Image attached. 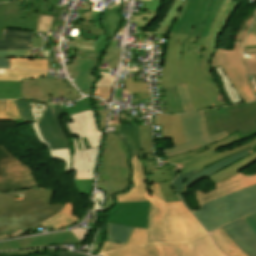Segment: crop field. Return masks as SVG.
I'll list each match as a JSON object with an SVG mask.
<instances>
[{
    "label": "crop field",
    "instance_id": "d14b1444",
    "mask_svg": "<svg viewBox=\"0 0 256 256\" xmlns=\"http://www.w3.org/2000/svg\"><path fill=\"white\" fill-rule=\"evenodd\" d=\"M10 58H0V68H9Z\"/></svg>",
    "mask_w": 256,
    "mask_h": 256
},
{
    "label": "crop field",
    "instance_id": "e1d0b9f6",
    "mask_svg": "<svg viewBox=\"0 0 256 256\" xmlns=\"http://www.w3.org/2000/svg\"><path fill=\"white\" fill-rule=\"evenodd\" d=\"M96 111H97V110H96ZM107 112H108V111H97V113L100 114V121H99V123H100V128H101V130L104 129L105 119H106Z\"/></svg>",
    "mask_w": 256,
    "mask_h": 256
},
{
    "label": "crop field",
    "instance_id": "3316defc",
    "mask_svg": "<svg viewBox=\"0 0 256 256\" xmlns=\"http://www.w3.org/2000/svg\"><path fill=\"white\" fill-rule=\"evenodd\" d=\"M182 118L186 144L163 150L167 157L193 151L228 136L224 131L208 137L204 111L183 114Z\"/></svg>",
    "mask_w": 256,
    "mask_h": 256
},
{
    "label": "crop field",
    "instance_id": "dbb93151",
    "mask_svg": "<svg viewBox=\"0 0 256 256\" xmlns=\"http://www.w3.org/2000/svg\"><path fill=\"white\" fill-rule=\"evenodd\" d=\"M101 201H102V195L100 193H97L94 198V204H93V208H92V212H91L94 215V219L92 222L93 224L96 223L97 211H99V206H100Z\"/></svg>",
    "mask_w": 256,
    "mask_h": 256
},
{
    "label": "crop field",
    "instance_id": "c5b07064",
    "mask_svg": "<svg viewBox=\"0 0 256 256\" xmlns=\"http://www.w3.org/2000/svg\"><path fill=\"white\" fill-rule=\"evenodd\" d=\"M91 7H92V6H90V5L83 4V6L80 8L79 11L85 13V12L89 11V10L91 9Z\"/></svg>",
    "mask_w": 256,
    "mask_h": 256
},
{
    "label": "crop field",
    "instance_id": "ae633e8c",
    "mask_svg": "<svg viewBox=\"0 0 256 256\" xmlns=\"http://www.w3.org/2000/svg\"><path fill=\"white\" fill-rule=\"evenodd\" d=\"M42 38H32V48H41Z\"/></svg>",
    "mask_w": 256,
    "mask_h": 256
},
{
    "label": "crop field",
    "instance_id": "c035e120",
    "mask_svg": "<svg viewBox=\"0 0 256 256\" xmlns=\"http://www.w3.org/2000/svg\"><path fill=\"white\" fill-rule=\"evenodd\" d=\"M178 91L180 94L184 111L186 112L194 111L187 84L178 85Z\"/></svg>",
    "mask_w": 256,
    "mask_h": 256
},
{
    "label": "crop field",
    "instance_id": "7312dd0a",
    "mask_svg": "<svg viewBox=\"0 0 256 256\" xmlns=\"http://www.w3.org/2000/svg\"><path fill=\"white\" fill-rule=\"evenodd\" d=\"M0 74H4V70H0Z\"/></svg>",
    "mask_w": 256,
    "mask_h": 256
},
{
    "label": "crop field",
    "instance_id": "03da06ac",
    "mask_svg": "<svg viewBox=\"0 0 256 256\" xmlns=\"http://www.w3.org/2000/svg\"><path fill=\"white\" fill-rule=\"evenodd\" d=\"M214 242L219 247L220 250H222L224 253H229L233 250H235L231 244L224 238V236L217 230L213 233H211Z\"/></svg>",
    "mask_w": 256,
    "mask_h": 256
},
{
    "label": "crop field",
    "instance_id": "eef30255",
    "mask_svg": "<svg viewBox=\"0 0 256 256\" xmlns=\"http://www.w3.org/2000/svg\"><path fill=\"white\" fill-rule=\"evenodd\" d=\"M31 37H34V32L4 29L0 49L31 48Z\"/></svg>",
    "mask_w": 256,
    "mask_h": 256
},
{
    "label": "crop field",
    "instance_id": "b80d0937",
    "mask_svg": "<svg viewBox=\"0 0 256 256\" xmlns=\"http://www.w3.org/2000/svg\"><path fill=\"white\" fill-rule=\"evenodd\" d=\"M157 18L158 13L143 10L142 16L132 15L130 22L138 23L139 27L148 28Z\"/></svg>",
    "mask_w": 256,
    "mask_h": 256
},
{
    "label": "crop field",
    "instance_id": "00972430",
    "mask_svg": "<svg viewBox=\"0 0 256 256\" xmlns=\"http://www.w3.org/2000/svg\"><path fill=\"white\" fill-rule=\"evenodd\" d=\"M22 81L40 85L47 95L43 101L44 103H47L46 100L50 98H68L69 101L81 98V95L73 88L68 79L53 80L38 76L37 80L23 79ZM61 94H63V97H61Z\"/></svg>",
    "mask_w": 256,
    "mask_h": 256
},
{
    "label": "crop field",
    "instance_id": "b54c1fbb",
    "mask_svg": "<svg viewBox=\"0 0 256 256\" xmlns=\"http://www.w3.org/2000/svg\"><path fill=\"white\" fill-rule=\"evenodd\" d=\"M243 54L246 74L256 75V52H248Z\"/></svg>",
    "mask_w": 256,
    "mask_h": 256
},
{
    "label": "crop field",
    "instance_id": "0bd39190",
    "mask_svg": "<svg viewBox=\"0 0 256 256\" xmlns=\"http://www.w3.org/2000/svg\"><path fill=\"white\" fill-rule=\"evenodd\" d=\"M140 142L143 154L152 153V131L151 126H139Z\"/></svg>",
    "mask_w": 256,
    "mask_h": 256
},
{
    "label": "crop field",
    "instance_id": "25e5ab78",
    "mask_svg": "<svg viewBox=\"0 0 256 256\" xmlns=\"http://www.w3.org/2000/svg\"><path fill=\"white\" fill-rule=\"evenodd\" d=\"M19 162L12 154H10L2 145H0V177H2L1 165Z\"/></svg>",
    "mask_w": 256,
    "mask_h": 256
},
{
    "label": "crop field",
    "instance_id": "28ad6ade",
    "mask_svg": "<svg viewBox=\"0 0 256 256\" xmlns=\"http://www.w3.org/2000/svg\"><path fill=\"white\" fill-rule=\"evenodd\" d=\"M248 147L250 149H252L255 153L246 157L245 159L235 163L234 165L212 175V176L206 177L215 184L219 181H222V180L236 174L237 172L241 171L242 169H244L245 167L249 166L250 164H252L253 162L256 161V139L245 144V145L238 146V147L226 150L224 152L214 154V155L204 158L202 160H199V161L187 164V165L180 166L179 174H183V173H186L193 169L201 168L203 166L208 167V166L215 164L229 156H232ZM181 168H182V170H181Z\"/></svg>",
    "mask_w": 256,
    "mask_h": 256
},
{
    "label": "crop field",
    "instance_id": "cbeb9de0",
    "mask_svg": "<svg viewBox=\"0 0 256 256\" xmlns=\"http://www.w3.org/2000/svg\"><path fill=\"white\" fill-rule=\"evenodd\" d=\"M148 212V202L117 203V206L109 213L106 222L147 228Z\"/></svg>",
    "mask_w": 256,
    "mask_h": 256
},
{
    "label": "crop field",
    "instance_id": "5d738f31",
    "mask_svg": "<svg viewBox=\"0 0 256 256\" xmlns=\"http://www.w3.org/2000/svg\"><path fill=\"white\" fill-rule=\"evenodd\" d=\"M256 15V12L252 13L251 15H249L242 23L238 33H237V37L235 39V42H240L242 43L254 17Z\"/></svg>",
    "mask_w": 256,
    "mask_h": 256
},
{
    "label": "crop field",
    "instance_id": "ae1a2a85",
    "mask_svg": "<svg viewBox=\"0 0 256 256\" xmlns=\"http://www.w3.org/2000/svg\"><path fill=\"white\" fill-rule=\"evenodd\" d=\"M54 0H24L20 13L22 18L37 20V14L47 15Z\"/></svg>",
    "mask_w": 256,
    "mask_h": 256
},
{
    "label": "crop field",
    "instance_id": "bd1437ed",
    "mask_svg": "<svg viewBox=\"0 0 256 256\" xmlns=\"http://www.w3.org/2000/svg\"><path fill=\"white\" fill-rule=\"evenodd\" d=\"M129 186H131L129 181L117 182L116 180H111L99 182L98 188L107 194V201L103 211H107L114 206V199L111 197L112 195L127 191Z\"/></svg>",
    "mask_w": 256,
    "mask_h": 256
},
{
    "label": "crop field",
    "instance_id": "5a996713",
    "mask_svg": "<svg viewBox=\"0 0 256 256\" xmlns=\"http://www.w3.org/2000/svg\"><path fill=\"white\" fill-rule=\"evenodd\" d=\"M242 44L235 43L233 51L217 49L211 59V67L222 66L223 70L244 102L255 100L243 66Z\"/></svg>",
    "mask_w": 256,
    "mask_h": 256
},
{
    "label": "crop field",
    "instance_id": "425ffa30",
    "mask_svg": "<svg viewBox=\"0 0 256 256\" xmlns=\"http://www.w3.org/2000/svg\"><path fill=\"white\" fill-rule=\"evenodd\" d=\"M94 179L75 180L76 188L80 194H91Z\"/></svg>",
    "mask_w": 256,
    "mask_h": 256
},
{
    "label": "crop field",
    "instance_id": "f4fd0767",
    "mask_svg": "<svg viewBox=\"0 0 256 256\" xmlns=\"http://www.w3.org/2000/svg\"><path fill=\"white\" fill-rule=\"evenodd\" d=\"M64 205H49L46 198L0 207V234L21 228L22 230L48 219L63 209Z\"/></svg>",
    "mask_w": 256,
    "mask_h": 256
},
{
    "label": "crop field",
    "instance_id": "dafd665d",
    "mask_svg": "<svg viewBox=\"0 0 256 256\" xmlns=\"http://www.w3.org/2000/svg\"><path fill=\"white\" fill-rule=\"evenodd\" d=\"M45 96V92L37 85L0 81V99H31L42 102Z\"/></svg>",
    "mask_w": 256,
    "mask_h": 256
},
{
    "label": "crop field",
    "instance_id": "5866460e",
    "mask_svg": "<svg viewBox=\"0 0 256 256\" xmlns=\"http://www.w3.org/2000/svg\"><path fill=\"white\" fill-rule=\"evenodd\" d=\"M47 72H37V71H25V70H5L4 75H0V80H12L21 81L22 78H34L37 75L45 76Z\"/></svg>",
    "mask_w": 256,
    "mask_h": 256
},
{
    "label": "crop field",
    "instance_id": "120bbe31",
    "mask_svg": "<svg viewBox=\"0 0 256 256\" xmlns=\"http://www.w3.org/2000/svg\"><path fill=\"white\" fill-rule=\"evenodd\" d=\"M132 228L107 223L106 241L126 244Z\"/></svg>",
    "mask_w": 256,
    "mask_h": 256
},
{
    "label": "crop field",
    "instance_id": "ade564c9",
    "mask_svg": "<svg viewBox=\"0 0 256 256\" xmlns=\"http://www.w3.org/2000/svg\"><path fill=\"white\" fill-rule=\"evenodd\" d=\"M57 256H85V255L69 253V252H60V253H57Z\"/></svg>",
    "mask_w": 256,
    "mask_h": 256
},
{
    "label": "crop field",
    "instance_id": "bc2a9ffb",
    "mask_svg": "<svg viewBox=\"0 0 256 256\" xmlns=\"http://www.w3.org/2000/svg\"><path fill=\"white\" fill-rule=\"evenodd\" d=\"M72 168L75 179L94 178L100 148L80 151L77 137L72 138Z\"/></svg>",
    "mask_w": 256,
    "mask_h": 256
},
{
    "label": "crop field",
    "instance_id": "0f1d7ab4",
    "mask_svg": "<svg viewBox=\"0 0 256 256\" xmlns=\"http://www.w3.org/2000/svg\"><path fill=\"white\" fill-rule=\"evenodd\" d=\"M256 48V36L246 38L244 42L243 50Z\"/></svg>",
    "mask_w": 256,
    "mask_h": 256
},
{
    "label": "crop field",
    "instance_id": "e52e79f7",
    "mask_svg": "<svg viewBox=\"0 0 256 256\" xmlns=\"http://www.w3.org/2000/svg\"><path fill=\"white\" fill-rule=\"evenodd\" d=\"M103 256H225L214 245L209 234L188 244H150L131 247Z\"/></svg>",
    "mask_w": 256,
    "mask_h": 256
},
{
    "label": "crop field",
    "instance_id": "5142ce71",
    "mask_svg": "<svg viewBox=\"0 0 256 256\" xmlns=\"http://www.w3.org/2000/svg\"><path fill=\"white\" fill-rule=\"evenodd\" d=\"M146 159H142L144 165L146 179L153 185L158 183L165 202H176L180 201L174 194L171 187V181L174 178L177 168L169 165L158 170L155 169L152 163L158 162L153 154L144 155Z\"/></svg>",
    "mask_w": 256,
    "mask_h": 256
},
{
    "label": "crop field",
    "instance_id": "d23c7cc5",
    "mask_svg": "<svg viewBox=\"0 0 256 256\" xmlns=\"http://www.w3.org/2000/svg\"><path fill=\"white\" fill-rule=\"evenodd\" d=\"M126 89L131 92L149 91L148 83H134L133 78H125Z\"/></svg>",
    "mask_w": 256,
    "mask_h": 256
},
{
    "label": "crop field",
    "instance_id": "78b8030e",
    "mask_svg": "<svg viewBox=\"0 0 256 256\" xmlns=\"http://www.w3.org/2000/svg\"><path fill=\"white\" fill-rule=\"evenodd\" d=\"M22 0L7 3L6 11L18 12Z\"/></svg>",
    "mask_w": 256,
    "mask_h": 256
},
{
    "label": "crop field",
    "instance_id": "d9b57169",
    "mask_svg": "<svg viewBox=\"0 0 256 256\" xmlns=\"http://www.w3.org/2000/svg\"><path fill=\"white\" fill-rule=\"evenodd\" d=\"M254 153L253 151H251L249 148L230 157L227 158L215 165H212L208 168H201V169H197V170H193L189 173L183 174V175H179L175 180H174V187H175V191L177 194H181L183 193L191 184L195 183L196 181L211 175L243 158H245L246 156L250 155Z\"/></svg>",
    "mask_w": 256,
    "mask_h": 256
},
{
    "label": "crop field",
    "instance_id": "0765c3eb",
    "mask_svg": "<svg viewBox=\"0 0 256 256\" xmlns=\"http://www.w3.org/2000/svg\"><path fill=\"white\" fill-rule=\"evenodd\" d=\"M6 4H0V39H2Z\"/></svg>",
    "mask_w": 256,
    "mask_h": 256
},
{
    "label": "crop field",
    "instance_id": "180be81f",
    "mask_svg": "<svg viewBox=\"0 0 256 256\" xmlns=\"http://www.w3.org/2000/svg\"><path fill=\"white\" fill-rule=\"evenodd\" d=\"M5 1H9V0H0V3H1V2H5Z\"/></svg>",
    "mask_w": 256,
    "mask_h": 256
},
{
    "label": "crop field",
    "instance_id": "d8731c3e",
    "mask_svg": "<svg viewBox=\"0 0 256 256\" xmlns=\"http://www.w3.org/2000/svg\"><path fill=\"white\" fill-rule=\"evenodd\" d=\"M119 9L120 7L117 6H114L113 9L108 8L107 13L104 16L103 26L107 33L110 35V38L115 35V33H117L121 23V15ZM101 14L102 12L90 11L86 14H83L82 18L80 19V24H73V28L75 29L85 30L100 35V37H98L95 41L94 48L85 46L78 47L77 52L85 53L84 57L99 58L102 50L108 45L107 37L99 25V17Z\"/></svg>",
    "mask_w": 256,
    "mask_h": 256
},
{
    "label": "crop field",
    "instance_id": "d1516ede",
    "mask_svg": "<svg viewBox=\"0 0 256 256\" xmlns=\"http://www.w3.org/2000/svg\"><path fill=\"white\" fill-rule=\"evenodd\" d=\"M130 172V164L127 162L116 135L108 133L100 168V181L110 179L130 180Z\"/></svg>",
    "mask_w": 256,
    "mask_h": 256
},
{
    "label": "crop field",
    "instance_id": "73cf0c24",
    "mask_svg": "<svg viewBox=\"0 0 256 256\" xmlns=\"http://www.w3.org/2000/svg\"><path fill=\"white\" fill-rule=\"evenodd\" d=\"M30 55H31V49L0 51V57H30Z\"/></svg>",
    "mask_w": 256,
    "mask_h": 256
},
{
    "label": "crop field",
    "instance_id": "c3a83c6f",
    "mask_svg": "<svg viewBox=\"0 0 256 256\" xmlns=\"http://www.w3.org/2000/svg\"><path fill=\"white\" fill-rule=\"evenodd\" d=\"M7 237H8L7 233L4 234V235H0V239H4V238H7Z\"/></svg>",
    "mask_w": 256,
    "mask_h": 256
},
{
    "label": "crop field",
    "instance_id": "8a807250",
    "mask_svg": "<svg viewBox=\"0 0 256 256\" xmlns=\"http://www.w3.org/2000/svg\"><path fill=\"white\" fill-rule=\"evenodd\" d=\"M234 0H175L156 34H168L161 85L165 86L166 114L182 110L177 84H188L194 109L226 105L211 72L216 39L237 8Z\"/></svg>",
    "mask_w": 256,
    "mask_h": 256
},
{
    "label": "crop field",
    "instance_id": "dd49c442",
    "mask_svg": "<svg viewBox=\"0 0 256 256\" xmlns=\"http://www.w3.org/2000/svg\"><path fill=\"white\" fill-rule=\"evenodd\" d=\"M60 105H49L44 116L30 124L38 140L48 148L51 159L65 162V171L70 168V142L60 123Z\"/></svg>",
    "mask_w": 256,
    "mask_h": 256
},
{
    "label": "crop field",
    "instance_id": "028f5c9d",
    "mask_svg": "<svg viewBox=\"0 0 256 256\" xmlns=\"http://www.w3.org/2000/svg\"><path fill=\"white\" fill-rule=\"evenodd\" d=\"M216 72L218 73L222 86L227 94V96L231 99L232 104H239L243 103V100L239 97L236 90L233 88V86L230 84L228 79L226 78L223 70L221 67L215 68Z\"/></svg>",
    "mask_w": 256,
    "mask_h": 256
},
{
    "label": "crop field",
    "instance_id": "1d79db26",
    "mask_svg": "<svg viewBox=\"0 0 256 256\" xmlns=\"http://www.w3.org/2000/svg\"><path fill=\"white\" fill-rule=\"evenodd\" d=\"M224 236L225 238L233 245V247L236 249L235 251L227 254L229 256H247L243 251H241L233 242L232 240L226 235V233L222 230V228L218 229Z\"/></svg>",
    "mask_w": 256,
    "mask_h": 256
},
{
    "label": "crop field",
    "instance_id": "34b2d1b8",
    "mask_svg": "<svg viewBox=\"0 0 256 256\" xmlns=\"http://www.w3.org/2000/svg\"><path fill=\"white\" fill-rule=\"evenodd\" d=\"M215 187L216 190L208 194L196 192L201 209L195 212L182 194L178 195L208 232L256 212V175L243 177L237 173Z\"/></svg>",
    "mask_w": 256,
    "mask_h": 256
},
{
    "label": "crop field",
    "instance_id": "db79e9e6",
    "mask_svg": "<svg viewBox=\"0 0 256 256\" xmlns=\"http://www.w3.org/2000/svg\"><path fill=\"white\" fill-rule=\"evenodd\" d=\"M103 237H104V229H100V231L98 233V236L96 238L95 244L93 246V249L91 251L92 255H94V253L96 252L97 248L101 245Z\"/></svg>",
    "mask_w": 256,
    "mask_h": 256
},
{
    "label": "crop field",
    "instance_id": "d32e631a",
    "mask_svg": "<svg viewBox=\"0 0 256 256\" xmlns=\"http://www.w3.org/2000/svg\"><path fill=\"white\" fill-rule=\"evenodd\" d=\"M10 68L38 69L48 71L47 60H33L30 58H11Z\"/></svg>",
    "mask_w": 256,
    "mask_h": 256
},
{
    "label": "crop field",
    "instance_id": "e1f06a70",
    "mask_svg": "<svg viewBox=\"0 0 256 256\" xmlns=\"http://www.w3.org/2000/svg\"><path fill=\"white\" fill-rule=\"evenodd\" d=\"M0 120H22L13 101H0Z\"/></svg>",
    "mask_w": 256,
    "mask_h": 256
},
{
    "label": "crop field",
    "instance_id": "214f88e0",
    "mask_svg": "<svg viewBox=\"0 0 256 256\" xmlns=\"http://www.w3.org/2000/svg\"><path fill=\"white\" fill-rule=\"evenodd\" d=\"M98 59L81 58L75 56L72 65H66L67 73L70 72L77 88L86 95L92 94V85L97 77L92 76V72Z\"/></svg>",
    "mask_w": 256,
    "mask_h": 256
},
{
    "label": "crop field",
    "instance_id": "a9b5d70f",
    "mask_svg": "<svg viewBox=\"0 0 256 256\" xmlns=\"http://www.w3.org/2000/svg\"><path fill=\"white\" fill-rule=\"evenodd\" d=\"M240 137L238 135V133L233 134L232 136L225 138L217 143L211 144L209 146L200 148L198 150H195L193 152L190 153H186V154H182L179 156H175V157H171V158H167L169 161L173 162L174 164L180 166L183 164H187L199 159H202L204 157H207L209 155H212L214 153H217L215 150L224 147V146H228L231 145L237 141H240Z\"/></svg>",
    "mask_w": 256,
    "mask_h": 256
},
{
    "label": "crop field",
    "instance_id": "412701ff",
    "mask_svg": "<svg viewBox=\"0 0 256 256\" xmlns=\"http://www.w3.org/2000/svg\"><path fill=\"white\" fill-rule=\"evenodd\" d=\"M205 118L209 136L224 130L229 135L238 131L244 140L256 134V101L206 110Z\"/></svg>",
    "mask_w": 256,
    "mask_h": 256
},
{
    "label": "crop field",
    "instance_id": "d3111659",
    "mask_svg": "<svg viewBox=\"0 0 256 256\" xmlns=\"http://www.w3.org/2000/svg\"><path fill=\"white\" fill-rule=\"evenodd\" d=\"M24 123L34 122L42 116L47 104L34 101H14Z\"/></svg>",
    "mask_w": 256,
    "mask_h": 256
},
{
    "label": "crop field",
    "instance_id": "0fb4a251",
    "mask_svg": "<svg viewBox=\"0 0 256 256\" xmlns=\"http://www.w3.org/2000/svg\"><path fill=\"white\" fill-rule=\"evenodd\" d=\"M79 112L83 110L93 109L91 104V97H86L82 100L77 101Z\"/></svg>",
    "mask_w": 256,
    "mask_h": 256
},
{
    "label": "crop field",
    "instance_id": "92a150f3",
    "mask_svg": "<svg viewBox=\"0 0 256 256\" xmlns=\"http://www.w3.org/2000/svg\"><path fill=\"white\" fill-rule=\"evenodd\" d=\"M233 242L249 256H256V234L245 224L243 219L223 226Z\"/></svg>",
    "mask_w": 256,
    "mask_h": 256
},
{
    "label": "crop field",
    "instance_id": "c21b1889",
    "mask_svg": "<svg viewBox=\"0 0 256 256\" xmlns=\"http://www.w3.org/2000/svg\"><path fill=\"white\" fill-rule=\"evenodd\" d=\"M120 50L118 48H111L108 47L103 55V60L104 62L109 63L108 66L112 67V68H116L117 67V63H118V58H119V54H120Z\"/></svg>",
    "mask_w": 256,
    "mask_h": 256
},
{
    "label": "crop field",
    "instance_id": "22f410ed",
    "mask_svg": "<svg viewBox=\"0 0 256 256\" xmlns=\"http://www.w3.org/2000/svg\"><path fill=\"white\" fill-rule=\"evenodd\" d=\"M70 121L63 124L69 137L78 136L81 150L85 149L82 137H86L90 148L101 146L103 133L98 131L93 110L70 115Z\"/></svg>",
    "mask_w": 256,
    "mask_h": 256
},
{
    "label": "crop field",
    "instance_id": "733c2abd",
    "mask_svg": "<svg viewBox=\"0 0 256 256\" xmlns=\"http://www.w3.org/2000/svg\"><path fill=\"white\" fill-rule=\"evenodd\" d=\"M2 171L3 178H0V191L38 186L30 169L21 162L4 165Z\"/></svg>",
    "mask_w": 256,
    "mask_h": 256
},
{
    "label": "crop field",
    "instance_id": "447ae74e",
    "mask_svg": "<svg viewBox=\"0 0 256 256\" xmlns=\"http://www.w3.org/2000/svg\"><path fill=\"white\" fill-rule=\"evenodd\" d=\"M38 251H55L54 249H35V250H24V251H12V252H6V253H0V256L3 254H30V253H36Z\"/></svg>",
    "mask_w": 256,
    "mask_h": 256
},
{
    "label": "crop field",
    "instance_id": "4177f3b9",
    "mask_svg": "<svg viewBox=\"0 0 256 256\" xmlns=\"http://www.w3.org/2000/svg\"><path fill=\"white\" fill-rule=\"evenodd\" d=\"M54 192L55 190H52V189L42 190L39 187L26 189V190L0 192V206L21 202L20 200L26 201V200H30V199H34L42 196H45L49 204H52Z\"/></svg>",
    "mask_w": 256,
    "mask_h": 256
},
{
    "label": "crop field",
    "instance_id": "730fd06b",
    "mask_svg": "<svg viewBox=\"0 0 256 256\" xmlns=\"http://www.w3.org/2000/svg\"><path fill=\"white\" fill-rule=\"evenodd\" d=\"M158 124H162V139L172 138L173 146L185 143L181 115L157 114L155 125Z\"/></svg>",
    "mask_w": 256,
    "mask_h": 256
},
{
    "label": "crop field",
    "instance_id": "750c4746",
    "mask_svg": "<svg viewBox=\"0 0 256 256\" xmlns=\"http://www.w3.org/2000/svg\"><path fill=\"white\" fill-rule=\"evenodd\" d=\"M77 218L73 216V205L72 204H66V207L57 215L53 216L52 218L38 224L37 227H43V226H49L52 225L54 230H57L59 228L69 226L75 222H77Z\"/></svg>",
    "mask_w": 256,
    "mask_h": 256
},
{
    "label": "crop field",
    "instance_id": "f0312440",
    "mask_svg": "<svg viewBox=\"0 0 256 256\" xmlns=\"http://www.w3.org/2000/svg\"><path fill=\"white\" fill-rule=\"evenodd\" d=\"M44 256H48V255H44Z\"/></svg>",
    "mask_w": 256,
    "mask_h": 256
},
{
    "label": "crop field",
    "instance_id": "9d1cf04e",
    "mask_svg": "<svg viewBox=\"0 0 256 256\" xmlns=\"http://www.w3.org/2000/svg\"><path fill=\"white\" fill-rule=\"evenodd\" d=\"M123 247H125V245L123 244H114V243L105 242L104 245L101 247L99 253L108 252V251L116 250Z\"/></svg>",
    "mask_w": 256,
    "mask_h": 256
},
{
    "label": "crop field",
    "instance_id": "1f1604b0",
    "mask_svg": "<svg viewBox=\"0 0 256 256\" xmlns=\"http://www.w3.org/2000/svg\"><path fill=\"white\" fill-rule=\"evenodd\" d=\"M255 78H256V76H255Z\"/></svg>",
    "mask_w": 256,
    "mask_h": 256
},
{
    "label": "crop field",
    "instance_id": "c39391a2",
    "mask_svg": "<svg viewBox=\"0 0 256 256\" xmlns=\"http://www.w3.org/2000/svg\"><path fill=\"white\" fill-rule=\"evenodd\" d=\"M255 35H256V18H255V21H254L250 31L247 33L246 37L255 36Z\"/></svg>",
    "mask_w": 256,
    "mask_h": 256
},
{
    "label": "crop field",
    "instance_id": "1f2cbd36",
    "mask_svg": "<svg viewBox=\"0 0 256 256\" xmlns=\"http://www.w3.org/2000/svg\"><path fill=\"white\" fill-rule=\"evenodd\" d=\"M114 79L112 76H101L95 87H113Z\"/></svg>",
    "mask_w": 256,
    "mask_h": 256
},
{
    "label": "crop field",
    "instance_id": "ac0d7876",
    "mask_svg": "<svg viewBox=\"0 0 256 256\" xmlns=\"http://www.w3.org/2000/svg\"><path fill=\"white\" fill-rule=\"evenodd\" d=\"M131 158L133 169L131 187L127 194L115 196L117 202L149 201L148 229L135 228L127 247L153 242H186L200 237L207 232L195 217L185 208L182 202L164 203L158 185L150 186L152 198L145 189V173L138 157Z\"/></svg>",
    "mask_w": 256,
    "mask_h": 256
},
{
    "label": "crop field",
    "instance_id": "4a817a6b",
    "mask_svg": "<svg viewBox=\"0 0 256 256\" xmlns=\"http://www.w3.org/2000/svg\"><path fill=\"white\" fill-rule=\"evenodd\" d=\"M62 243H80V241L71 231H66L56 234L35 236L3 242L0 243V251L9 249L36 248Z\"/></svg>",
    "mask_w": 256,
    "mask_h": 256
},
{
    "label": "crop field",
    "instance_id": "fb207236",
    "mask_svg": "<svg viewBox=\"0 0 256 256\" xmlns=\"http://www.w3.org/2000/svg\"><path fill=\"white\" fill-rule=\"evenodd\" d=\"M248 51H256V49L246 50V51H243V52H248Z\"/></svg>",
    "mask_w": 256,
    "mask_h": 256
},
{
    "label": "crop field",
    "instance_id": "89e229c0",
    "mask_svg": "<svg viewBox=\"0 0 256 256\" xmlns=\"http://www.w3.org/2000/svg\"><path fill=\"white\" fill-rule=\"evenodd\" d=\"M142 1L145 2L144 8H143L144 10H151V11L158 12L163 0H150V1L142 0Z\"/></svg>",
    "mask_w": 256,
    "mask_h": 256
},
{
    "label": "crop field",
    "instance_id": "1d83c4d3",
    "mask_svg": "<svg viewBox=\"0 0 256 256\" xmlns=\"http://www.w3.org/2000/svg\"><path fill=\"white\" fill-rule=\"evenodd\" d=\"M37 21L21 19L20 13L6 12L4 28L35 31Z\"/></svg>",
    "mask_w": 256,
    "mask_h": 256
},
{
    "label": "crop field",
    "instance_id": "7b73153f",
    "mask_svg": "<svg viewBox=\"0 0 256 256\" xmlns=\"http://www.w3.org/2000/svg\"><path fill=\"white\" fill-rule=\"evenodd\" d=\"M244 221L256 233V214L244 218Z\"/></svg>",
    "mask_w": 256,
    "mask_h": 256
}]
</instances>
